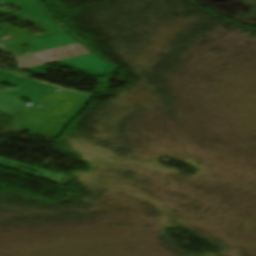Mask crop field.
Wrapping results in <instances>:
<instances>
[{
	"label": "crop field",
	"mask_w": 256,
	"mask_h": 256,
	"mask_svg": "<svg viewBox=\"0 0 256 256\" xmlns=\"http://www.w3.org/2000/svg\"><path fill=\"white\" fill-rule=\"evenodd\" d=\"M8 84L17 85L20 88L13 91L0 90V112L16 116L21 129L52 138L60 133L91 97L19 76H16L15 80ZM34 87L38 89L34 90ZM49 88L53 90L46 92ZM35 91L38 92L35 94ZM17 96L28 97L34 104L31 107L17 104ZM38 103H42L45 107L36 108Z\"/></svg>",
	"instance_id": "8a807250"
},
{
	"label": "crop field",
	"mask_w": 256,
	"mask_h": 256,
	"mask_svg": "<svg viewBox=\"0 0 256 256\" xmlns=\"http://www.w3.org/2000/svg\"><path fill=\"white\" fill-rule=\"evenodd\" d=\"M0 25V44L4 51L16 56L21 69L31 65L40 66L60 61L92 75H103L114 72L117 68L92 55L77 40L64 30L34 35L11 27L3 29ZM25 32V34H23ZM4 35H7L4 37ZM22 37H26L23 39ZM20 45H27L29 54L20 52ZM34 66V67H35Z\"/></svg>",
	"instance_id": "ac0d7876"
},
{
	"label": "crop field",
	"mask_w": 256,
	"mask_h": 256,
	"mask_svg": "<svg viewBox=\"0 0 256 256\" xmlns=\"http://www.w3.org/2000/svg\"><path fill=\"white\" fill-rule=\"evenodd\" d=\"M0 2L23 10L16 13L17 17L31 23H38L46 33L62 29L41 11L35 0H0Z\"/></svg>",
	"instance_id": "34b2d1b8"
},
{
	"label": "crop field",
	"mask_w": 256,
	"mask_h": 256,
	"mask_svg": "<svg viewBox=\"0 0 256 256\" xmlns=\"http://www.w3.org/2000/svg\"><path fill=\"white\" fill-rule=\"evenodd\" d=\"M0 14L2 15H7V14H10L9 12L5 11V10H0Z\"/></svg>",
	"instance_id": "412701ff"
}]
</instances>
